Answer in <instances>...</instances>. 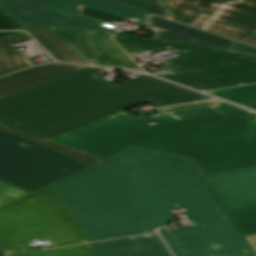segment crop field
Here are the masks:
<instances>
[{
	"label": "crop field",
	"mask_w": 256,
	"mask_h": 256,
	"mask_svg": "<svg viewBox=\"0 0 256 256\" xmlns=\"http://www.w3.org/2000/svg\"><path fill=\"white\" fill-rule=\"evenodd\" d=\"M206 93L256 110V84L209 91Z\"/></svg>",
	"instance_id": "16"
},
{
	"label": "crop field",
	"mask_w": 256,
	"mask_h": 256,
	"mask_svg": "<svg viewBox=\"0 0 256 256\" xmlns=\"http://www.w3.org/2000/svg\"><path fill=\"white\" fill-rule=\"evenodd\" d=\"M208 98L212 97L142 75L7 126L49 140L148 100L158 107Z\"/></svg>",
	"instance_id": "3"
},
{
	"label": "crop field",
	"mask_w": 256,
	"mask_h": 256,
	"mask_svg": "<svg viewBox=\"0 0 256 256\" xmlns=\"http://www.w3.org/2000/svg\"><path fill=\"white\" fill-rule=\"evenodd\" d=\"M59 37L84 61L96 66L143 72L109 36L112 33L51 27Z\"/></svg>",
	"instance_id": "10"
},
{
	"label": "crop field",
	"mask_w": 256,
	"mask_h": 256,
	"mask_svg": "<svg viewBox=\"0 0 256 256\" xmlns=\"http://www.w3.org/2000/svg\"><path fill=\"white\" fill-rule=\"evenodd\" d=\"M18 256H101L98 254L92 243L65 247L59 249L46 250L31 254H23Z\"/></svg>",
	"instance_id": "17"
},
{
	"label": "crop field",
	"mask_w": 256,
	"mask_h": 256,
	"mask_svg": "<svg viewBox=\"0 0 256 256\" xmlns=\"http://www.w3.org/2000/svg\"><path fill=\"white\" fill-rule=\"evenodd\" d=\"M84 68L83 66H74L62 63H51L35 68L23 70L3 78H0V98L8 96L10 94L28 89L30 87L42 84L44 82L61 77L68 73ZM0 128L10 131L14 134L22 136L26 139L34 141L38 144L46 146L64 155L72 157L90 166H93L103 160L70 150L52 142L40 139L38 137L26 134L24 132L12 129L10 127L0 124Z\"/></svg>",
	"instance_id": "11"
},
{
	"label": "crop field",
	"mask_w": 256,
	"mask_h": 256,
	"mask_svg": "<svg viewBox=\"0 0 256 256\" xmlns=\"http://www.w3.org/2000/svg\"><path fill=\"white\" fill-rule=\"evenodd\" d=\"M154 38L229 49L234 40L150 16Z\"/></svg>",
	"instance_id": "12"
},
{
	"label": "crop field",
	"mask_w": 256,
	"mask_h": 256,
	"mask_svg": "<svg viewBox=\"0 0 256 256\" xmlns=\"http://www.w3.org/2000/svg\"><path fill=\"white\" fill-rule=\"evenodd\" d=\"M215 103H223V101H220L218 99H213V100H207V101H201V102H195V103H189V104H183V105L159 108L157 110H158V112H162V111H168V110H174V109H180V108H186V107L215 104Z\"/></svg>",
	"instance_id": "20"
},
{
	"label": "crop field",
	"mask_w": 256,
	"mask_h": 256,
	"mask_svg": "<svg viewBox=\"0 0 256 256\" xmlns=\"http://www.w3.org/2000/svg\"><path fill=\"white\" fill-rule=\"evenodd\" d=\"M180 22L256 46V0H164Z\"/></svg>",
	"instance_id": "9"
},
{
	"label": "crop field",
	"mask_w": 256,
	"mask_h": 256,
	"mask_svg": "<svg viewBox=\"0 0 256 256\" xmlns=\"http://www.w3.org/2000/svg\"><path fill=\"white\" fill-rule=\"evenodd\" d=\"M91 241L155 231L184 207L195 227L159 229L175 256H255L256 168L201 177L189 159L130 148L54 184Z\"/></svg>",
	"instance_id": "1"
},
{
	"label": "crop field",
	"mask_w": 256,
	"mask_h": 256,
	"mask_svg": "<svg viewBox=\"0 0 256 256\" xmlns=\"http://www.w3.org/2000/svg\"><path fill=\"white\" fill-rule=\"evenodd\" d=\"M57 61L82 63L50 27L23 26Z\"/></svg>",
	"instance_id": "14"
},
{
	"label": "crop field",
	"mask_w": 256,
	"mask_h": 256,
	"mask_svg": "<svg viewBox=\"0 0 256 256\" xmlns=\"http://www.w3.org/2000/svg\"><path fill=\"white\" fill-rule=\"evenodd\" d=\"M0 251H2L6 256L21 254V253H19V252L16 251V250L9 251V250H8L5 246H3L1 243H0Z\"/></svg>",
	"instance_id": "24"
},
{
	"label": "crop field",
	"mask_w": 256,
	"mask_h": 256,
	"mask_svg": "<svg viewBox=\"0 0 256 256\" xmlns=\"http://www.w3.org/2000/svg\"><path fill=\"white\" fill-rule=\"evenodd\" d=\"M30 192L19 189L0 180V206L16 200Z\"/></svg>",
	"instance_id": "19"
},
{
	"label": "crop field",
	"mask_w": 256,
	"mask_h": 256,
	"mask_svg": "<svg viewBox=\"0 0 256 256\" xmlns=\"http://www.w3.org/2000/svg\"><path fill=\"white\" fill-rule=\"evenodd\" d=\"M89 167L0 129V179L19 188L33 192Z\"/></svg>",
	"instance_id": "7"
},
{
	"label": "crop field",
	"mask_w": 256,
	"mask_h": 256,
	"mask_svg": "<svg viewBox=\"0 0 256 256\" xmlns=\"http://www.w3.org/2000/svg\"><path fill=\"white\" fill-rule=\"evenodd\" d=\"M232 49L237 50V51H246V52H249L252 54H256V47L238 43V42L235 43V45L232 47Z\"/></svg>",
	"instance_id": "22"
},
{
	"label": "crop field",
	"mask_w": 256,
	"mask_h": 256,
	"mask_svg": "<svg viewBox=\"0 0 256 256\" xmlns=\"http://www.w3.org/2000/svg\"><path fill=\"white\" fill-rule=\"evenodd\" d=\"M102 256H171L157 233L94 243Z\"/></svg>",
	"instance_id": "13"
},
{
	"label": "crop field",
	"mask_w": 256,
	"mask_h": 256,
	"mask_svg": "<svg viewBox=\"0 0 256 256\" xmlns=\"http://www.w3.org/2000/svg\"><path fill=\"white\" fill-rule=\"evenodd\" d=\"M132 56L167 49L179 57L165 60L169 73L153 74L196 90L256 82V56L180 43L115 35Z\"/></svg>",
	"instance_id": "4"
},
{
	"label": "crop field",
	"mask_w": 256,
	"mask_h": 256,
	"mask_svg": "<svg viewBox=\"0 0 256 256\" xmlns=\"http://www.w3.org/2000/svg\"><path fill=\"white\" fill-rule=\"evenodd\" d=\"M0 4L20 23L27 25L97 29L114 32L103 23L81 14L119 25L122 21L148 22V13L107 0H0Z\"/></svg>",
	"instance_id": "6"
},
{
	"label": "crop field",
	"mask_w": 256,
	"mask_h": 256,
	"mask_svg": "<svg viewBox=\"0 0 256 256\" xmlns=\"http://www.w3.org/2000/svg\"><path fill=\"white\" fill-rule=\"evenodd\" d=\"M87 67L69 75L0 99V123L9 124L48 108L114 85Z\"/></svg>",
	"instance_id": "8"
},
{
	"label": "crop field",
	"mask_w": 256,
	"mask_h": 256,
	"mask_svg": "<svg viewBox=\"0 0 256 256\" xmlns=\"http://www.w3.org/2000/svg\"><path fill=\"white\" fill-rule=\"evenodd\" d=\"M30 40L29 36L23 32L0 40V76L33 66V64L22 53L16 51V48L11 44Z\"/></svg>",
	"instance_id": "15"
},
{
	"label": "crop field",
	"mask_w": 256,
	"mask_h": 256,
	"mask_svg": "<svg viewBox=\"0 0 256 256\" xmlns=\"http://www.w3.org/2000/svg\"><path fill=\"white\" fill-rule=\"evenodd\" d=\"M14 32H0V38L12 34Z\"/></svg>",
	"instance_id": "25"
},
{
	"label": "crop field",
	"mask_w": 256,
	"mask_h": 256,
	"mask_svg": "<svg viewBox=\"0 0 256 256\" xmlns=\"http://www.w3.org/2000/svg\"><path fill=\"white\" fill-rule=\"evenodd\" d=\"M124 5H128L142 11L158 14L164 17L171 16L167 8L160 0H111Z\"/></svg>",
	"instance_id": "18"
},
{
	"label": "crop field",
	"mask_w": 256,
	"mask_h": 256,
	"mask_svg": "<svg viewBox=\"0 0 256 256\" xmlns=\"http://www.w3.org/2000/svg\"><path fill=\"white\" fill-rule=\"evenodd\" d=\"M49 141L103 160L129 146L185 156L206 175L256 166V113L228 103L138 117L124 110Z\"/></svg>",
	"instance_id": "2"
},
{
	"label": "crop field",
	"mask_w": 256,
	"mask_h": 256,
	"mask_svg": "<svg viewBox=\"0 0 256 256\" xmlns=\"http://www.w3.org/2000/svg\"><path fill=\"white\" fill-rule=\"evenodd\" d=\"M245 238L247 239V241L249 242V244L251 245V247L253 248V250L256 253V234L247 235V236H245Z\"/></svg>",
	"instance_id": "23"
},
{
	"label": "crop field",
	"mask_w": 256,
	"mask_h": 256,
	"mask_svg": "<svg viewBox=\"0 0 256 256\" xmlns=\"http://www.w3.org/2000/svg\"><path fill=\"white\" fill-rule=\"evenodd\" d=\"M50 238L56 247L88 242L52 185L0 207V242L22 254V246Z\"/></svg>",
	"instance_id": "5"
},
{
	"label": "crop field",
	"mask_w": 256,
	"mask_h": 256,
	"mask_svg": "<svg viewBox=\"0 0 256 256\" xmlns=\"http://www.w3.org/2000/svg\"><path fill=\"white\" fill-rule=\"evenodd\" d=\"M0 29H22V27L10 15H0Z\"/></svg>",
	"instance_id": "21"
},
{
	"label": "crop field",
	"mask_w": 256,
	"mask_h": 256,
	"mask_svg": "<svg viewBox=\"0 0 256 256\" xmlns=\"http://www.w3.org/2000/svg\"><path fill=\"white\" fill-rule=\"evenodd\" d=\"M0 14H8V13L0 6Z\"/></svg>",
	"instance_id": "26"
}]
</instances>
